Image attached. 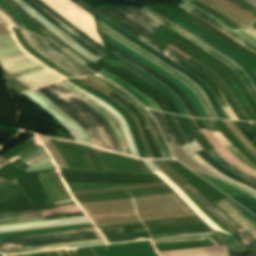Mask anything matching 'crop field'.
I'll return each mask as SVG.
<instances>
[{"mask_svg": "<svg viewBox=\"0 0 256 256\" xmlns=\"http://www.w3.org/2000/svg\"><path fill=\"white\" fill-rule=\"evenodd\" d=\"M17 4H19L22 8H24L27 12H29L32 16H34L37 20H39L41 23H43L45 26H47L49 29H51L55 34H57L63 41H65L69 46L77 50L79 53H81L83 56H85L87 59L97 62L99 61L98 58L87 52L85 49H83L81 46H79L75 41H73L69 36L65 35L61 30H59L57 27H55L53 24H51L49 21L44 19L42 16H40L37 12H35L33 9H31L27 4H25L22 0H14Z\"/></svg>", "mask_w": 256, "mask_h": 256, "instance_id": "obj_14", "label": "crop field"}, {"mask_svg": "<svg viewBox=\"0 0 256 256\" xmlns=\"http://www.w3.org/2000/svg\"><path fill=\"white\" fill-rule=\"evenodd\" d=\"M186 62L192 64L193 66H195L196 68L201 70L203 73H205L209 78H211L218 85V87L221 89V91L225 94V96H226L227 100L229 101L231 107L233 108V110L235 111V113L237 114V116L240 120L249 121V119L243 113V111L239 107L238 103L236 102L235 98L231 94L230 90L212 71L205 68L204 66H202L201 64H199L198 62H196L192 58L189 59Z\"/></svg>", "mask_w": 256, "mask_h": 256, "instance_id": "obj_17", "label": "crop field"}, {"mask_svg": "<svg viewBox=\"0 0 256 256\" xmlns=\"http://www.w3.org/2000/svg\"><path fill=\"white\" fill-rule=\"evenodd\" d=\"M245 124L248 126L247 128L256 136V127L252 123H245Z\"/></svg>", "mask_w": 256, "mask_h": 256, "instance_id": "obj_44", "label": "crop field"}, {"mask_svg": "<svg viewBox=\"0 0 256 256\" xmlns=\"http://www.w3.org/2000/svg\"><path fill=\"white\" fill-rule=\"evenodd\" d=\"M11 1V0H10ZM14 5L17 6L19 11L23 16H25L27 19H29L33 24H35L39 29H41L46 35H48L51 39H53L57 44H59L61 47L67 46L65 42H63L57 35H55L52 31H50L48 28H46L44 25H42L39 21H37L34 17H32L29 13H27L25 10H23L20 6H18L16 3L11 1ZM15 6V7H16Z\"/></svg>", "mask_w": 256, "mask_h": 256, "instance_id": "obj_29", "label": "crop field"}, {"mask_svg": "<svg viewBox=\"0 0 256 256\" xmlns=\"http://www.w3.org/2000/svg\"><path fill=\"white\" fill-rule=\"evenodd\" d=\"M38 175L53 204L74 202L63 185L58 172Z\"/></svg>", "mask_w": 256, "mask_h": 256, "instance_id": "obj_12", "label": "crop field"}, {"mask_svg": "<svg viewBox=\"0 0 256 256\" xmlns=\"http://www.w3.org/2000/svg\"><path fill=\"white\" fill-rule=\"evenodd\" d=\"M14 28V27H13ZM16 35L19 39V41L21 42V44L30 52L32 53L34 56H36L37 58H39L41 61H43L44 63H46L47 65H49L51 68H53L54 70H56L58 73H60L61 75L65 76V77H74L72 74H70L69 72L65 71L64 69H62L61 67L57 66L56 64H54L53 62L49 61L48 59H46L45 57H43L42 55H40L38 52H36L34 49H32L29 44L26 42V40L24 39L21 31L19 29L14 28Z\"/></svg>", "mask_w": 256, "mask_h": 256, "instance_id": "obj_26", "label": "crop field"}, {"mask_svg": "<svg viewBox=\"0 0 256 256\" xmlns=\"http://www.w3.org/2000/svg\"><path fill=\"white\" fill-rule=\"evenodd\" d=\"M60 84V83H59ZM58 83L39 89L65 109L88 133L93 145L120 151L109 127L86 104ZM121 152V151H120Z\"/></svg>", "mask_w": 256, "mask_h": 256, "instance_id": "obj_1", "label": "crop field"}, {"mask_svg": "<svg viewBox=\"0 0 256 256\" xmlns=\"http://www.w3.org/2000/svg\"><path fill=\"white\" fill-rule=\"evenodd\" d=\"M78 212H81L79 207H73V208H65V209H56V210L0 216V221L39 217V216L61 215V214L78 213Z\"/></svg>", "mask_w": 256, "mask_h": 256, "instance_id": "obj_24", "label": "crop field"}, {"mask_svg": "<svg viewBox=\"0 0 256 256\" xmlns=\"http://www.w3.org/2000/svg\"><path fill=\"white\" fill-rule=\"evenodd\" d=\"M99 20H101L103 23L108 25L110 28H112L114 31L119 33L124 38H126V39L130 40L131 42L135 43L136 45L140 46L144 50L148 51L152 55H154V56L158 57L159 59H161L162 61H164L166 64H168V65L174 67L175 69L179 70L181 73L186 75L188 78L192 79L205 92V94L208 96V98H209L212 106L214 107L215 111L217 112L218 116L220 118H223V119H229L226 116V114L224 113V111L222 110V108L220 107V105H219L215 95L213 94L212 90L204 82H202L199 78L195 77L189 71H187V70L183 69L182 67L178 66L173 61H171L169 58H167L164 55L158 53L157 51L153 50L152 48L148 47L144 43H142L139 40H137L136 38H134L133 36L129 35L125 31H123L122 29H120L119 27L114 25L112 22H110L108 19H106L101 14H99Z\"/></svg>", "mask_w": 256, "mask_h": 256, "instance_id": "obj_6", "label": "crop field"}, {"mask_svg": "<svg viewBox=\"0 0 256 256\" xmlns=\"http://www.w3.org/2000/svg\"><path fill=\"white\" fill-rule=\"evenodd\" d=\"M94 232H97L96 228L83 229V230H74V231H65V232H57V233H48V234H39V235H31V236H22V237H13V238H5V239H2V241L3 242H8V241L46 238V237L84 234V233H94Z\"/></svg>", "mask_w": 256, "mask_h": 256, "instance_id": "obj_27", "label": "crop field"}, {"mask_svg": "<svg viewBox=\"0 0 256 256\" xmlns=\"http://www.w3.org/2000/svg\"><path fill=\"white\" fill-rule=\"evenodd\" d=\"M117 10L121 11L122 13L126 14L128 17H130L131 19H133L135 22H137L138 24H140L141 26H143L144 28H146L147 30H149L152 33H156V29L151 27L149 24H147L145 21H143L142 19L138 18L137 16L133 15L132 13H130L129 11H127L125 8L123 7H115Z\"/></svg>", "mask_w": 256, "mask_h": 256, "instance_id": "obj_36", "label": "crop field"}, {"mask_svg": "<svg viewBox=\"0 0 256 256\" xmlns=\"http://www.w3.org/2000/svg\"><path fill=\"white\" fill-rule=\"evenodd\" d=\"M62 256H70L66 250L59 251Z\"/></svg>", "mask_w": 256, "mask_h": 256, "instance_id": "obj_49", "label": "crop field"}, {"mask_svg": "<svg viewBox=\"0 0 256 256\" xmlns=\"http://www.w3.org/2000/svg\"><path fill=\"white\" fill-rule=\"evenodd\" d=\"M104 37H105V39L107 41L111 42L112 44H114L115 46L120 48L121 50L125 51L129 55H131L134 58L138 59L139 61H141L142 63L146 64L147 66L151 67L152 69H154L155 71H157L161 75H163L166 78H168L174 84H176L192 100L195 108L197 109V111L199 113V116L201 118H208V116H207L205 110L203 109L201 103L199 102V100L197 99V97L195 96V94L193 93V91L189 87L184 85L180 80L176 79L174 76H172L167 71H165L162 68L156 66L155 64H153L152 62L148 61L147 59H145L141 55L135 53L134 51L130 50L129 48H127L124 45L120 44L119 42L115 41L110 36H108L106 33H104Z\"/></svg>", "mask_w": 256, "mask_h": 256, "instance_id": "obj_10", "label": "crop field"}, {"mask_svg": "<svg viewBox=\"0 0 256 256\" xmlns=\"http://www.w3.org/2000/svg\"><path fill=\"white\" fill-rule=\"evenodd\" d=\"M104 9H106V10L110 11L111 13H113L114 15L118 16L119 18H121L122 20H124L125 22L130 24L132 27H134L136 30H138L142 34H144L146 36L152 34V33L148 32L146 29H144L143 27H141L140 25H138L137 23H135L133 20L128 18L127 16L123 15L119 11L115 10L114 8H112L111 6L105 7Z\"/></svg>", "mask_w": 256, "mask_h": 256, "instance_id": "obj_34", "label": "crop field"}, {"mask_svg": "<svg viewBox=\"0 0 256 256\" xmlns=\"http://www.w3.org/2000/svg\"><path fill=\"white\" fill-rule=\"evenodd\" d=\"M0 16H1L4 20H6L8 23L17 26L10 18H8V17H7L5 14H3L1 11H0Z\"/></svg>", "mask_w": 256, "mask_h": 256, "instance_id": "obj_45", "label": "crop field"}, {"mask_svg": "<svg viewBox=\"0 0 256 256\" xmlns=\"http://www.w3.org/2000/svg\"><path fill=\"white\" fill-rule=\"evenodd\" d=\"M98 73H100L103 76H105L106 78L114 81L115 83L121 85L128 92H130L135 98H137L142 104H144L146 107H150L152 109L161 111L160 107L155 102H153L151 99H149L148 97H146L145 95L140 93L138 90H136L135 88H133L132 86H130L129 84L124 82L123 80L117 78L116 76L112 75L111 73L107 72L104 69Z\"/></svg>", "mask_w": 256, "mask_h": 256, "instance_id": "obj_22", "label": "crop field"}, {"mask_svg": "<svg viewBox=\"0 0 256 256\" xmlns=\"http://www.w3.org/2000/svg\"><path fill=\"white\" fill-rule=\"evenodd\" d=\"M99 23V28L102 29L103 31H105L106 33H108L109 35H111L112 37H114L116 40H118L119 42L125 44L126 46L130 47L131 49L137 51L138 53L142 54L143 56H145L146 58H148L149 60L155 62L156 64L160 65L161 67H163L165 70L169 71L170 73H172L173 75H175L177 78H179L180 80H182L183 82H185L194 92L195 94L198 96V98L201 100L207 114L209 115L210 118H219L213 107L211 106L207 96L204 94V92L190 79H188L187 77H185L183 74H181L180 72H178L177 70L169 67L168 65H166L165 63H163L161 60L157 59L156 57L152 56L151 54H149L148 52L144 51L143 49H141L140 47L136 46L135 44L129 42L128 40L124 39L123 37H121L119 34H117L116 32H114L112 29H110L108 26H106L105 24H103L101 21L98 20Z\"/></svg>", "mask_w": 256, "mask_h": 256, "instance_id": "obj_7", "label": "crop field"}, {"mask_svg": "<svg viewBox=\"0 0 256 256\" xmlns=\"http://www.w3.org/2000/svg\"><path fill=\"white\" fill-rule=\"evenodd\" d=\"M171 22L175 23L176 25H178L179 27L191 32L192 34H194L196 37H198L199 39H201L203 42H205L206 44H208L209 46H211L212 48H214L215 50L219 51L220 53H222L223 55H225L226 57H228L229 59H231L233 62H235L237 65H239L246 73L247 75L250 77V79L252 80V82L254 83V85L256 86V72L253 71L247 64H245L244 62L240 61L239 59H237L236 57H234L233 55H231L230 53H228L227 51H225L224 49H222L220 46H218L217 44H215L214 42L210 41L209 39H207L205 36H203L201 33H199L198 31L184 25L183 23H181L180 21H178L177 19H173ZM190 33V34H191Z\"/></svg>", "mask_w": 256, "mask_h": 256, "instance_id": "obj_16", "label": "crop field"}, {"mask_svg": "<svg viewBox=\"0 0 256 256\" xmlns=\"http://www.w3.org/2000/svg\"><path fill=\"white\" fill-rule=\"evenodd\" d=\"M99 83H101L102 85L110 88L111 90H113L115 93L119 94L120 96H122L124 99H126L128 102H130L132 105H134L144 116L152 134L153 137L161 151V154L163 156V158H173V156L171 155V153L169 152L162 136L161 133L156 125V123L154 122L153 118L151 117V115L148 113V111L142 106L140 105L135 99H133L129 94H127L125 91L121 90L120 88H118L116 85L102 79L101 77H89Z\"/></svg>", "mask_w": 256, "mask_h": 256, "instance_id": "obj_9", "label": "crop field"}, {"mask_svg": "<svg viewBox=\"0 0 256 256\" xmlns=\"http://www.w3.org/2000/svg\"><path fill=\"white\" fill-rule=\"evenodd\" d=\"M127 9H129L130 11L134 12L135 14H137L138 16H140L142 19H144L146 22H148L149 24H151L152 26L156 27L159 29L160 25L159 23H157L156 21H154L153 19L149 18L148 16H146L145 14H143L142 12H140L137 8H135L134 6H124ZM162 26V25H161Z\"/></svg>", "mask_w": 256, "mask_h": 256, "instance_id": "obj_37", "label": "crop field"}, {"mask_svg": "<svg viewBox=\"0 0 256 256\" xmlns=\"http://www.w3.org/2000/svg\"><path fill=\"white\" fill-rule=\"evenodd\" d=\"M253 27H255V28H256V22H255V24L253 25Z\"/></svg>", "mask_w": 256, "mask_h": 256, "instance_id": "obj_50", "label": "crop field"}, {"mask_svg": "<svg viewBox=\"0 0 256 256\" xmlns=\"http://www.w3.org/2000/svg\"><path fill=\"white\" fill-rule=\"evenodd\" d=\"M23 1L26 2L30 7H32L34 10H36L38 13H40L42 16H44L47 20H49L50 22L55 24L59 29H61L63 32H65L67 35H69L72 39H74L79 45H81L87 51L93 53L100 59L106 57L102 53H100L98 50L93 48L91 45H89L87 42H85L83 39H81L76 34H74L72 31H70L68 28H66L64 25H62L59 21H57L54 17H52L46 11H44L39 6L34 4L31 0H23Z\"/></svg>", "mask_w": 256, "mask_h": 256, "instance_id": "obj_18", "label": "crop field"}, {"mask_svg": "<svg viewBox=\"0 0 256 256\" xmlns=\"http://www.w3.org/2000/svg\"><path fill=\"white\" fill-rule=\"evenodd\" d=\"M109 50H111L112 52H114L115 54L123 57L124 59H126L127 61L131 62L132 64H134L135 66L139 67L140 69H142L143 71L147 72L148 74H150L151 76H153L154 78H156L157 80H159L160 82H162L164 85H166L167 87H169L171 90H173L179 97L180 99L184 102V104L187 107L188 112L190 113L191 117H195V118H200L197 114V111L195 110V108L193 107L190 99L176 86L174 85L172 82H170L169 80H167L166 78H164L163 76L159 75L158 73H156L155 71L151 70L150 68H148L147 66L143 65L142 63L138 62L137 60L133 59L132 57L128 56L127 54L123 53L122 51H120L119 49H117L116 47H114L113 45H111L109 43Z\"/></svg>", "mask_w": 256, "mask_h": 256, "instance_id": "obj_11", "label": "crop field"}, {"mask_svg": "<svg viewBox=\"0 0 256 256\" xmlns=\"http://www.w3.org/2000/svg\"><path fill=\"white\" fill-rule=\"evenodd\" d=\"M74 3H76L77 5H79L80 7H82L83 9H85L87 12H89L90 14H92L93 16H95L96 18H98V13L93 11L92 9H90L89 7H87L86 5H84L81 1L79 0H71Z\"/></svg>", "mask_w": 256, "mask_h": 256, "instance_id": "obj_40", "label": "crop field"}, {"mask_svg": "<svg viewBox=\"0 0 256 256\" xmlns=\"http://www.w3.org/2000/svg\"><path fill=\"white\" fill-rule=\"evenodd\" d=\"M151 111V110H150ZM159 123L170 146L178 144L162 113L151 111Z\"/></svg>", "mask_w": 256, "mask_h": 256, "instance_id": "obj_31", "label": "crop field"}, {"mask_svg": "<svg viewBox=\"0 0 256 256\" xmlns=\"http://www.w3.org/2000/svg\"><path fill=\"white\" fill-rule=\"evenodd\" d=\"M206 126L209 128L211 132H216L218 129L213 124L211 120H203ZM226 148L236 157L238 158L242 163L249 166L250 168L256 170V165L249 162L232 144L226 146Z\"/></svg>", "mask_w": 256, "mask_h": 256, "instance_id": "obj_32", "label": "crop field"}, {"mask_svg": "<svg viewBox=\"0 0 256 256\" xmlns=\"http://www.w3.org/2000/svg\"><path fill=\"white\" fill-rule=\"evenodd\" d=\"M9 162L5 161V160H0V168L3 167L4 165L8 164Z\"/></svg>", "mask_w": 256, "mask_h": 256, "instance_id": "obj_48", "label": "crop field"}, {"mask_svg": "<svg viewBox=\"0 0 256 256\" xmlns=\"http://www.w3.org/2000/svg\"><path fill=\"white\" fill-rule=\"evenodd\" d=\"M113 54V53H112ZM113 56L115 57L116 61L120 62L121 64L125 65L126 67H128L129 69H131L132 71H134L135 73L139 74L140 76H142L143 78L147 79L148 81H150L151 83H153L154 85H156L158 88H160L163 92H165L167 95H169L178 105L179 109L182 111L183 115L185 116H189L187 114L186 108L183 105V103L180 101V99L173 93L171 92L169 89H167L164 85H162L160 82H158L157 80L153 79L152 77H150L149 75H147L146 73H144L143 71L133 67L132 65H130L128 62H126L125 60L119 58L118 56H116L115 54H113Z\"/></svg>", "mask_w": 256, "mask_h": 256, "instance_id": "obj_21", "label": "crop field"}, {"mask_svg": "<svg viewBox=\"0 0 256 256\" xmlns=\"http://www.w3.org/2000/svg\"><path fill=\"white\" fill-rule=\"evenodd\" d=\"M187 190L194 198H196L204 207L212 212L217 218H219L226 227L234 234V236L243 244L246 248L248 256H256V241L255 239L245 231L231 216L218 207L214 202L207 198L201 191H199L190 182L180 185Z\"/></svg>", "mask_w": 256, "mask_h": 256, "instance_id": "obj_3", "label": "crop field"}, {"mask_svg": "<svg viewBox=\"0 0 256 256\" xmlns=\"http://www.w3.org/2000/svg\"><path fill=\"white\" fill-rule=\"evenodd\" d=\"M236 201H238L243 206L247 207L251 211H253L256 214V204L251 202L248 199L242 198V197H233Z\"/></svg>", "mask_w": 256, "mask_h": 256, "instance_id": "obj_38", "label": "crop field"}, {"mask_svg": "<svg viewBox=\"0 0 256 256\" xmlns=\"http://www.w3.org/2000/svg\"><path fill=\"white\" fill-rule=\"evenodd\" d=\"M99 12L102 13L103 15H105L106 17H108L109 19H111L112 21H114L119 26H121L128 33L138 37L139 39H141L143 42L148 44L153 49H155V50L159 51L160 53L164 54L165 56L173 59L174 61H176L177 63H179L180 65H182L186 69H188L189 71H191L193 74H195L197 77H199L202 81H204L215 92V94L217 95V97H218V99H219L223 108L229 107V104H228L224 94L220 91V89L216 86V84L212 80H210L206 75H204L201 71H199L198 69H196L192 65L186 63L185 61H183L179 57L175 56L174 54L170 53L166 49H164V48L158 46L157 44H155L154 42L150 41L149 39H147L146 37H144L143 35H141L137 31H135L133 28H131L130 26H128L127 24L122 22L120 19L115 17L114 15L108 13L107 11H105L103 9L100 10ZM224 111L231 119L238 120L236 114L234 113V111L232 110L231 107L225 108Z\"/></svg>", "mask_w": 256, "mask_h": 256, "instance_id": "obj_4", "label": "crop field"}, {"mask_svg": "<svg viewBox=\"0 0 256 256\" xmlns=\"http://www.w3.org/2000/svg\"><path fill=\"white\" fill-rule=\"evenodd\" d=\"M10 182V180L0 179V187Z\"/></svg>", "mask_w": 256, "mask_h": 256, "instance_id": "obj_46", "label": "crop field"}, {"mask_svg": "<svg viewBox=\"0 0 256 256\" xmlns=\"http://www.w3.org/2000/svg\"><path fill=\"white\" fill-rule=\"evenodd\" d=\"M234 209H236L242 216H244L250 223H252L256 227V217L251 213L246 211L244 208L236 204L231 199H225ZM224 200L216 203L223 210H225L228 214H230L235 220H237L241 225H243L246 230L256 239V229L244 218L242 217L236 210H234L229 204H227Z\"/></svg>", "mask_w": 256, "mask_h": 256, "instance_id": "obj_13", "label": "crop field"}, {"mask_svg": "<svg viewBox=\"0 0 256 256\" xmlns=\"http://www.w3.org/2000/svg\"><path fill=\"white\" fill-rule=\"evenodd\" d=\"M99 238H101L99 233H94V234H84V235H75V236H65V237H56V238L18 241V242H8V243H4V244H5L6 247H9V246H27V247H31V246L65 243V242H74V241L91 240V239H99ZM7 249H12V248H7Z\"/></svg>", "mask_w": 256, "mask_h": 256, "instance_id": "obj_15", "label": "crop field"}, {"mask_svg": "<svg viewBox=\"0 0 256 256\" xmlns=\"http://www.w3.org/2000/svg\"><path fill=\"white\" fill-rule=\"evenodd\" d=\"M33 36L44 50L54 54L59 59L65 61L67 64H69L70 66H72L73 68H75L76 70H78L79 72H81L85 75H95L87 68H85V67L79 65L77 62H75L72 58H70L67 54H65L62 50H60L57 46H55L50 41H48L42 37H38L35 35H33Z\"/></svg>", "mask_w": 256, "mask_h": 256, "instance_id": "obj_19", "label": "crop field"}, {"mask_svg": "<svg viewBox=\"0 0 256 256\" xmlns=\"http://www.w3.org/2000/svg\"><path fill=\"white\" fill-rule=\"evenodd\" d=\"M209 154H211L213 157H215L216 159H218L221 163H223L229 170L235 172L236 174H238L241 177H244L252 182L256 183V178L236 169L235 167H233L232 165H230L228 162H226L215 150L209 151Z\"/></svg>", "mask_w": 256, "mask_h": 256, "instance_id": "obj_35", "label": "crop field"}, {"mask_svg": "<svg viewBox=\"0 0 256 256\" xmlns=\"http://www.w3.org/2000/svg\"><path fill=\"white\" fill-rule=\"evenodd\" d=\"M27 42L36 50L38 51L40 54H42L43 56H45L46 58L50 59L51 61H53L54 63L58 64L59 66H61L62 68H64L65 70L69 71L70 73H72L75 76H81L82 74L79 73L78 71H76L75 69H73L72 67H70L69 65H67L66 63H64L63 61L57 59L55 56L49 54L48 52L44 51L39 45L38 43L35 41V39L33 38L32 34L27 33L25 31H22Z\"/></svg>", "mask_w": 256, "mask_h": 256, "instance_id": "obj_25", "label": "crop field"}, {"mask_svg": "<svg viewBox=\"0 0 256 256\" xmlns=\"http://www.w3.org/2000/svg\"><path fill=\"white\" fill-rule=\"evenodd\" d=\"M0 10L2 11V12H4L5 14H7L13 21H15L17 24H18V26L19 27H21V28H23V29H26L25 27H24V25L21 23V22H19L16 18H14L10 13H8L5 9H3L1 6H0ZM27 30V29H26Z\"/></svg>", "mask_w": 256, "mask_h": 256, "instance_id": "obj_42", "label": "crop field"}, {"mask_svg": "<svg viewBox=\"0 0 256 256\" xmlns=\"http://www.w3.org/2000/svg\"><path fill=\"white\" fill-rule=\"evenodd\" d=\"M66 81L69 82L74 87H76L77 89L90 95L91 97H93L94 99H96L97 101L105 105L107 108H109L111 111H113L116 115H118L121 118V120L124 122L127 131L131 132L141 158H151L141 139L140 132L134 121V118L132 117L131 114H129L126 111L125 108H123L121 105H119L117 102H115L113 99H111L107 95L84 84L77 78L66 79Z\"/></svg>", "mask_w": 256, "mask_h": 256, "instance_id": "obj_2", "label": "crop field"}, {"mask_svg": "<svg viewBox=\"0 0 256 256\" xmlns=\"http://www.w3.org/2000/svg\"><path fill=\"white\" fill-rule=\"evenodd\" d=\"M256 125V123H254Z\"/></svg>", "mask_w": 256, "mask_h": 256, "instance_id": "obj_51", "label": "crop field"}, {"mask_svg": "<svg viewBox=\"0 0 256 256\" xmlns=\"http://www.w3.org/2000/svg\"><path fill=\"white\" fill-rule=\"evenodd\" d=\"M40 220H43V218L26 219V220H17V221H9V222H0V225H8V224H16V223L40 221Z\"/></svg>", "mask_w": 256, "mask_h": 256, "instance_id": "obj_41", "label": "crop field"}, {"mask_svg": "<svg viewBox=\"0 0 256 256\" xmlns=\"http://www.w3.org/2000/svg\"><path fill=\"white\" fill-rule=\"evenodd\" d=\"M144 13L148 14L149 16H151L152 18H154L156 21H158L159 23L171 28L172 30L178 32L179 34L183 35L184 37H186L187 39L191 40L192 42H194L195 44H197L198 46H200L201 48H203L204 50H206L207 52H209L211 55H213L214 57L218 58L219 60H221L222 62L226 63L229 65V67L231 69H233L238 76L242 79V81L245 83V85L247 86L248 90L250 91V93L252 94V96L254 97V99L256 100V88L253 86V84L250 82V80L248 79V77L246 76L245 72L242 71L238 66H236L234 63H232L230 60H228L227 58H225L224 56H222L221 54H219L218 52H216L215 50L211 49L210 47L206 46L205 44H203L201 41H199L198 39H196L194 36L186 33L185 31L179 29L178 27H176L175 25L169 23L168 21H166L164 18L160 17L159 15L155 14L154 12L148 10V9H143Z\"/></svg>", "mask_w": 256, "mask_h": 256, "instance_id": "obj_8", "label": "crop field"}, {"mask_svg": "<svg viewBox=\"0 0 256 256\" xmlns=\"http://www.w3.org/2000/svg\"><path fill=\"white\" fill-rule=\"evenodd\" d=\"M191 158H193L196 162H198L201 166H203L206 170H208L211 174H213L214 176H216L217 178H219L220 180L224 181L225 183L229 184L230 186L245 192L247 194H249L250 196L256 198V190L251 189L235 180H232L228 177H226L225 175H223L222 173H220L219 171H217L216 169H214L210 164H208L203 158H201L199 155H197L196 153L193 154L192 156H190Z\"/></svg>", "mask_w": 256, "mask_h": 256, "instance_id": "obj_20", "label": "crop field"}, {"mask_svg": "<svg viewBox=\"0 0 256 256\" xmlns=\"http://www.w3.org/2000/svg\"><path fill=\"white\" fill-rule=\"evenodd\" d=\"M230 256H246V254L229 252Z\"/></svg>", "mask_w": 256, "mask_h": 256, "instance_id": "obj_47", "label": "crop field"}, {"mask_svg": "<svg viewBox=\"0 0 256 256\" xmlns=\"http://www.w3.org/2000/svg\"><path fill=\"white\" fill-rule=\"evenodd\" d=\"M233 123L247 136L250 142L256 140L253 134L244 126L242 122L233 121Z\"/></svg>", "mask_w": 256, "mask_h": 256, "instance_id": "obj_39", "label": "crop field"}, {"mask_svg": "<svg viewBox=\"0 0 256 256\" xmlns=\"http://www.w3.org/2000/svg\"><path fill=\"white\" fill-rule=\"evenodd\" d=\"M63 49H65L69 54H71L74 58H76L78 61H80L83 64H88L87 62H85L83 59H81L79 56H77L74 52H72L70 49H68L67 47H64Z\"/></svg>", "mask_w": 256, "mask_h": 256, "instance_id": "obj_43", "label": "crop field"}, {"mask_svg": "<svg viewBox=\"0 0 256 256\" xmlns=\"http://www.w3.org/2000/svg\"><path fill=\"white\" fill-rule=\"evenodd\" d=\"M50 156L49 153L46 151V149L43 146L38 147L37 149L31 151L30 153L26 154L23 156L22 160L30 163V164H35L38 161Z\"/></svg>", "mask_w": 256, "mask_h": 256, "instance_id": "obj_33", "label": "crop field"}, {"mask_svg": "<svg viewBox=\"0 0 256 256\" xmlns=\"http://www.w3.org/2000/svg\"><path fill=\"white\" fill-rule=\"evenodd\" d=\"M48 6L60 13L63 17L77 26L80 30L103 45L102 39L96 30L93 16L76 6L70 0H42Z\"/></svg>", "mask_w": 256, "mask_h": 256, "instance_id": "obj_5", "label": "crop field"}, {"mask_svg": "<svg viewBox=\"0 0 256 256\" xmlns=\"http://www.w3.org/2000/svg\"><path fill=\"white\" fill-rule=\"evenodd\" d=\"M189 12H191V13L199 16L200 18L208 21L210 24H212L213 26L218 28L220 31H222L223 33H225L229 37L233 38L235 41L239 42L240 44L244 45L245 47L249 48L250 50L256 52V46H254V45L250 44L249 42L243 40L242 38L237 36L235 33L230 31L228 28H226L224 25H222L221 23H219L218 21H216L215 19L210 17L208 14H206V13H204V12H202V11L196 9V8L189 10Z\"/></svg>", "mask_w": 256, "mask_h": 256, "instance_id": "obj_23", "label": "crop field"}, {"mask_svg": "<svg viewBox=\"0 0 256 256\" xmlns=\"http://www.w3.org/2000/svg\"><path fill=\"white\" fill-rule=\"evenodd\" d=\"M198 154H200L204 159H206L209 163H211L213 166H215L218 170H220L222 173L242 182L245 183L247 185H250L252 187L256 188V184L249 182L243 178H240L238 176H236L235 174L231 173L228 169L224 168L220 163H218L213 157H211L208 153L206 152H198Z\"/></svg>", "mask_w": 256, "mask_h": 256, "instance_id": "obj_30", "label": "crop field"}, {"mask_svg": "<svg viewBox=\"0 0 256 256\" xmlns=\"http://www.w3.org/2000/svg\"><path fill=\"white\" fill-rule=\"evenodd\" d=\"M34 1L37 2L39 5H41L43 8H45L48 12H50V13H51L52 15H54L55 17H57V18H59V19L62 18L61 15H59L57 12H55L54 10H52L50 7H48V6H47L46 4H44L42 1H40V0H34ZM34 1H33V2H34ZM37 3H36V4H37ZM38 4H37V5H38ZM41 6H40V7H41ZM42 7H41V8H42ZM45 9H44V10H45ZM59 21L62 22L63 24H64L65 22H67V20H65L64 18L61 19V20H59ZM66 25H68L71 29H73L76 33H78V34H79L80 36H82L84 39H86L87 41H89L91 44H93L94 46H96L98 49L101 50L102 48H104V47H102L101 45H99L97 42H95L94 40H92L90 37H88L86 34H84L82 31H80L78 28H76L74 25H72L71 23L68 22V23H66ZM68 26H67V27H68ZM82 37H81V38H82ZM86 40H85V41H86ZM89 42H88V43H89ZM90 43H89V44H90ZM93 45H92V46H93ZM96 47H95V48H96ZM97 48H96V49H97ZM100 50H99V51H100ZM100 52H102V53H104L105 55H107V52H106L105 48H104L103 50H101Z\"/></svg>", "mask_w": 256, "mask_h": 256, "instance_id": "obj_28", "label": "crop field"}]
</instances>
